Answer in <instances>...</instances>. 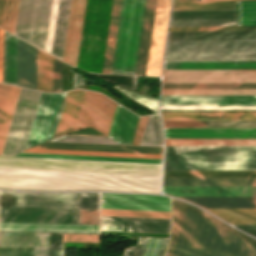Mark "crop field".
I'll return each instance as SVG.
<instances>
[{
    "label": "crop field",
    "instance_id": "1",
    "mask_svg": "<svg viewBox=\"0 0 256 256\" xmlns=\"http://www.w3.org/2000/svg\"><path fill=\"white\" fill-rule=\"evenodd\" d=\"M162 165L0 157V188L160 193Z\"/></svg>",
    "mask_w": 256,
    "mask_h": 256
},
{
    "label": "crop field",
    "instance_id": "2",
    "mask_svg": "<svg viewBox=\"0 0 256 256\" xmlns=\"http://www.w3.org/2000/svg\"><path fill=\"white\" fill-rule=\"evenodd\" d=\"M172 234L166 256H256V240L206 212L171 199Z\"/></svg>",
    "mask_w": 256,
    "mask_h": 256
},
{
    "label": "crop field",
    "instance_id": "3",
    "mask_svg": "<svg viewBox=\"0 0 256 256\" xmlns=\"http://www.w3.org/2000/svg\"><path fill=\"white\" fill-rule=\"evenodd\" d=\"M164 170H256V146H165Z\"/></svg>",
    "mask_w": 256,
    "mask_h": 256
},
{
    "label": "crop field",
    "instance_id": "4",
    "mask_svg": "<svg viewBox=\"0 0 256 256\" xmlns=\"http://www.w3.org/2000/svg\"><path fill=\"white\" fill-rule=\"evenodd\" d=\"M112 0H87L77 67L101 73Z\"/></svg>",
    "mask_w": 256,
    "mask_h": 256
},
{
    "label": "crop field",
    "instance_id": "5",
    "mask_svg": "<svg viewBox=\"0 0 256 256\" xmlns=\"http://www.w3.org/2000/svg\"><path fill=\"white\" fill-rule=\"evenodd\" d=\"M256 59V40L167 41L165 60Z\"/></svg>",
    "mask_w": 256,
    "mask_h": 256
},
{
    "label": "crop field",
    "instance_id": "6",
    "mask_svg": "<svg viewBox=\"0 0 256 256\" xmlns=\"http://www.w3.org/2000/svg\"><path fill=\"white\" fill-rule=\"evenodd\" d=\"M145 0H122L111 73L134 75Z\"/></svg>",
    "mask_w": 256,
    "mask_h": 256
},
{
    "label": "crop field",
    "instance_id": "7",
    "mask_svg": "<svg viewBox=\"0 0 256 256\" xmlns=\"http://www.w3.org/2000/svg\"><path fill=\"white\" fill-rule=\"evenodd\" d=\"M0 206L99 209V193L0 191Z\"/></svg>",
    "mask_w": 256,
    "mask_h": 256
},
{
    "label": "crop field",
    "instance_id": "8",
    "mask_svg": "<svg viewBox=\"0 0 256 256\" xmlns=\"http://www.w3.org/2000/svg\"><path fill=\"white\" fill-rule=\"evenodd\" d=\"M52 0H20L15 35L44 50Z\"/></svg>",
    "mask_w": 256,
    "mask_h": 256
},
{
    "label": "crop field",
    "instance_id": "9",
    "mask_svg": "<svg viewBox=\"0 0 256 256\" xmlns=\"http://www.w3.org/2000/svg\"><path fill=\"white\" fill-rule=\"evenodd\" d=\"M40 93L21 89L2 155H13L25 149Z\"/></svg>",
    "mask_w": 256,
    "mask_h": 256
},
{
    "label": "crop field",
    "instance_id": "10",
    "mask_svg": "<svg viewBox=\"0 0 256 256\" xmlns=\"http://www.w3.org/2000/svg\"><path fill=\"white\" fill-rule=\"evenodd\" d=\"M66 93H41L26 149L54 137Z\"/></svg>",
    "mask_w": 256,
    "mask_h": 256
},
{
    "label": "crop field",
    "instance_id": "11",
    "mask_svg": "<svg viewBox=\"0 0 256 256\" xmlns=\"http://www.w3.org/2000/svg\"><path fill=\"white\" fill-rule=\"evenodd\" d=\"M116 105L99 93L86 91L75 129L93 126L108 135Z\"/></svg>",
    "mask_w": 256,
    "mask_h": 256
},
{
    "label": "crop field",
    "instance_id": "12",
    "mask_svg": "<svg viewBox=\"0 0 256 256\" xmlns=\"http://www.w3.org/2000/svg\"><path fill=\"white\" fill-rule=\"evenodd\" d=\"M79 209L0 207V222L78 224Z\"/></svg>",
    "mask_w": 256,
    "mask_h": 256
},
{
    "label": "crop field",
    "instance_id": "13",
    "mask_svg": "<svg viewBox=\"0 0 256 256\" xmlns=\"http://www.w3.org/2000/svg\"><path fill=\"white\" fill-rule=\"evenodd\" d=\"M171 0H156L145 75L160 76Z\"/></svg>",
    "mask_w": 256,
    "mask_h": 256
},
{
    "label": "crop field",
    "instance_id": "14",
    "mask_svg": "<svg viewBox=\"0 0 256 256\" xmlns=\"http://www.w3.org/2000/svg\"><path fill=\"white\" fill-rule=\"evenodd\" d=\"M162 82H256V70H164Z\"/></svg>",
    "mask_w": 256,
    "mask_h": 256
},
{
    "label": "crop field",
    "instance_id": "15",
    "mask_svg": "<svg viewBox=\"0 0 256 256\" xmlns=\"http://www.w3.org/2000/svg\"><path fill=\"white\" fill-rule=\"evenodd\" d=\"M101 208L170 211L169 198L101 193Z\"/></svg>",
    "mask_w": 256,
    "mask_h": 256
},
{
    "label": "crop field",
    "instance_id": "16",
    "mask_svg": "<svg viewBox=\"0 0 256 256\" xmlns=\"http://www.w3.org/2000/svg\"><path fill=\"white\" fill-rule=\"evenodd\" d=\"M165 138H256V128H164Z\"/></svg>",
    "mask_w": 256,
    "mask_h": 256
},
{
    "label": "crop field",
    "instance_id": "17",
    "mask_svg": "<svg viewBox=\"0 0 256 256\" xmlns=\"http://www.w3.org/2000/svg\"><path fill=\"white\" fill-rule=\"evenodd\" d=\"M86 0H72L63 60L76 66Z\"/></svg>",
    "mask_w": 256,
    "mask_h": 256
},
{
    "label": "crop field",
    "instance_id": "18",
    "mask_svg": "<svg viewBox=\"0 0 256 256\" xmlns=\"http://www.w3.org/2000/svg\"><path fill=\"white\" fill-rule=\"evenodd\" d=\"M160 105H256V96H161Z\"/></svg>",
    "mask_w": 256,
    "mask_h": 256
},
{
    "label": "crop field",
    "instance_id": "19",
    "mask_svg": "<svg viewBox=\"0 0 256 256\" xmlns=\"http://www.w3.org/2000/svg\"><path fill=\"white\" fill-rule=\"evenodd\" d=\"M37 48L18 39L17 85L36 89Z\"/></svg>",
    "mask_w": 256,
    "mask_h": 256
},
{
    "label": "crop field",
    "instance_id": "20",
    "mask_svg": "<svg viewBox=\"0 0 256 256\" xmlns=\"http://www.w3.org/2000/svg\"><path fill=\"white\" fill-rule=\"evenodd\" d=\"M175 196H256V187H163Z\"/></svg>",
    "mask_w": 256,
    "mask_h": 256
},
{
    "label": "crop field",
    "instance_id": "21",
    "mask_svg": "<svg viewBox=\"0 0 256 256\" xmlns=\"http://www.w3.org/2000/svg\"><path fill=\"white\" fill-rule=\"evenodd\" d=\"M34 148L86 150V151H108V152H130V153H152V154H162V151H163V148H153V147L111 146V145L74 144V143H56V142H45V143L38 145Z\"/></svg>",
    "mask_w": 256,
    "mask_h": 256
},
{
    "label": "crop field",
    "instance_id": "22",
    "mask_svg": "<svg viewBox=\"0 0 256 256\" xmlns=\"http://www.w3.org/2000/svg\"><path fill=\"white\" fill-rule=\"evenodd\" d=\"M138 119V117L117 105L108 137L120 144L130 145Z\"/></svg>",
    "mask_w": 256,
    "mask_h": 256
},
{
    "label": "crop field",
    "instance_id": "23",
    "mask_svg": "<svg viewBox=\"0 0 256 256\" xmlns=\"http://www.w3.org/2000/svg\"><path fill=\"white\" fill-rule=\"evenodd\" d=\"M34 234L0 233V256H33Z\"/></svg>",
    "mask_w": 256,
    "mask_h": 256
},
{
    "label": "crop field",
    "instance_id": "24",
    "mask_svg": "<svg viewBox=\"0 0 256 256\" xmlns=\"http://www.w3.org/2000/svg\"><path fill=\"white\" fill-rule=\"evenodd\" d=\"M163 120H256V112H161Z\"/></svg>",
    "mask_w": 256,
    "mask_h": 256
},
{
    "label": "crop field",
    "instance_id": "25",
    "mask_svg": "<svg viewBox=\"0 0 256 256\" xmlns=\"http://www.w3.org/2000/svg\"><path fill=\"white\" fill-rule=\"evenodd\" d=\"M163 186H256V178H163Z\"/></svg>",
    "mask_w": 256,
    "mask_h": 256
},
{
    "label": "crop field",
    "instance_id": "26",
    "mask_svg": "<svg viewBox=\"0 0 256 256\" xmlns=\"http://www.w3.org/2000/svg\"><path fill=\"white\" fill-rule=\"evenodd\" d=\"M84 92L73 90L67 93L55 137L74 129Z\"/></svg>",
    "mask_w": 256,
    "mask_h": 256
},
{
    "label": "crop field",
    "instance_id": "27",
    "mask_svg": "<svg viewBox=\"0 0 256 256\" xmlns=\"http://www.w3.org/2000/svg\"><path fill=\"white\" fill-rule=\"evenodd\" d=\"M256 39V31L169 32L167 40Z\"/></svg>",
    "mask_w": 256,
    "mask_h": 256
},
{
    "label": "crop field",
    "instance_id": "28",
    "mask_svg": "<svg viewBox=\"0 0 256 256\" xmlns=\"http://www.w3.org/2000/svg\"><path fill=\"white\" fill-rule=\"evenodd\" d=\"M204 208H256V197H181Z\"/></svg>",
    "mask_w": 256,
    "mask_h": 256
},
{
    "label": "crop field",
    "instance_id": "29",
    "mask_svg": "<svg viewBox=\"0 0 256 256\" xmlns=\"http://www.w3.org/2000/svg\"><path fill=\"white\" fill-rule=\"evenodd\" d=\"M155 0H146L135 75H144Z\"/></svg>",
    "mask_w": 256,
    "mask_h": 256
},
{
    "label": "crop field",
    "instance_id": "30",
    "mask_svg": "<svg viewBox=\"0 0 256 256\" xmlns=\"http://www.w3.org/2000/svg\"><path fill=\"white\" fill-rule=\"evenodd\" d=\"M71 0H59L51 54L62 59Z\"/></svg>",
    "mask_w": 256,
    "mask_h": 256
},
{
    "label": "crop field",
    "instance_id": "31",
    "mask_svg": "<svg viewBox=\"0 0 256 256\" xmlns=\"http://www.w3.org/2000/svg\"><path fill=\"white\" fill-rule=\"evenodd\" d=\"M164 69H256V62H164Z\"/></svg>",
    "mask_w": 256,
    "mask_h": 256
},
{
    "label": "crop field",
    "instance_id": "32",
    "mask_svg": "<svg viewBox=\"0 0 256 256\" xmlns=\"http://www.w3.org/2000/svg\"><path fill=\"white\" fill-rule=\"evenodd\" d=\"M100 230L169 233L170 224L100 221Z\"/></svg>",
    "mask_w": 256,
    "mask_h": 256
},
{
    "label": "crop field",
    "instance_id": "33",
    "mask_svg": "<svg viewBox=\"0 0 256 256\" xmlns=\"http://www.w3.org/2000/svg\"><path fill=\"white\" fill-rule=\"evenodd\" d=\"M17 37L5 32L3 82L16 85Z\"/></svg>",
    "mask_w": 256,
    "mask_h": 256
},
{
    "label": "crop field",
    "instance_id": "34",
    "mask_svg": "<svg viewBox=\"0 0 256 256\" xmlns=\"http://www.w3.org/2000/svg\"><path fill=\"white\" fill-rule=\"evenodd\" d=\"M235 1L256 0H173L172 10L235 9Z\"/></svg>",
    "mask_w": 256,
    "mask_h": 256
},
{
    "label": "crop field",
    "instance_id": "35",
    "mask_svg": "<svg viewBox=\"0 0 256 256\" xmlns=\"http://www.w3.org/2000/svg\"><path fill=\"white\" fill-rule=\"evenodd\" d=\"M120 6H121V0H113L102 73H110V70H111L115 38H116L118 19H119V13H120Z\"/></svg>",
    "mask_w": 256,
    "mask_h": 256
},
{
    "label": "crop field",
    "instance_id": "36",
    "mask_svg": "<svg viewBox=\"0 0 256 256\" xmlns=\"http://www.w3.org/2000/svg\"><path fill=\"white\" fill-rule=\"evenodd\" d=\"M236 19L235 10L172 11L171 20Z\"/></svg>",
    "mask_w": 256,
    "mask_h": 256
},
{
    "label": "crop field",
    "instance_id": "37",
    "mask_svg": "<svg viewBox=\"0 0 256 256\" xmlns=\"http://www.w3.org/2000/svg\"><path fill=\"white\" fill-rule=\"evenodd\" d=\"M20 89L21 88L19 87H10V91L0 121V155L2 154V150L5 144V140L10 127V123L15 110Z\"/></svg>",
    "mask_w": 256,
    "mask_h": 256
},
{
    "label": "crop field",
    "instance_id": "38",
    "mask_svg": "<svg viewBox=\"0 0 256 256\" xmlns=\"http://www.w3.org/2000/svg\"><path fill=\"white\" fill-rule=\"evenodd\" d=\"M53 57L38 50L37 89L52 92Z\"/></svg>",
    "mask_w": 256,
    "mask_h": 256
},
{
    "label": "crop field",
    "instance_id": "39",
    "mask_svg": "<svg viewBox=\"0 0 256 256\" xmlns=\"http://www.w3.org/2000/svg\"><path fill=\"white\" fill-rule=\"evenodd\" d=\"M161 95H256V89H162Z\"/></svg>",
    "mask_w": 256,
    "mask_h": 256
},
{
    "label": "crop field",
    "instance_id": "40",
    "mask_svg": "<svg viewBox=\"0 0 256 256\" xmlns=\"http://www.w3.org/2000/svg\"><path fill=\"white\" fill-rule=\"evenodd\" d=\"M231 224H256V209H207Z\"/></svg>",
    "mask_w": 256,
    "mask_h": 256
},
{
    "label": "crop field",
    "instance_id": "41",
    "mask_svg": "<svg viewBox=\"0 0 256 256\" xmlns=\"http://www.w3.org/2000/svg\"><path fill=\"white\" fill-rule=\"evenodd\" d=\"M163 177H256V171H164Z\"/></svg>",
    "mask_w": 256,
    "mask_h": 256
},
{
    "label": "crop field",
    "instance_id": "42",
    "mask_svg": "<svg viewBox=\"0 0 256 256\" xmlns=\"http://www.w3.org/2000/svg\"><path fill=\"white\" fill-rule=\"evenodd\" d=\"M164 127H256V121H163Z\"/></svg>",
    "mask_w": 256,
    "mask_h": 256
},
{
    "label": "crop field",
    "instance_id": "43",
    "mask_svg": "<svg viewBox=\"0 0 256 256\" xmlns=\"http://www.w3.org/2000/svg\"><path fill=\"white\" fill-rule=\"evenodd\" d=\"M165 145H256V139H165Z\"/></svg>",
    "mask_w": 256,
    "mask_h": 256
},
{
    "label": "crop field",
    "instance_id": "44",
    "mask_svg": "<svg viewBox=\"0 0 256 256\" xmlns=\"http://www.w3.org/2000/svg\"><path fill=\"white\" fill-rule=\"evenodd\" d=\"M16 156L162 164V160L19 153Z\"/></svg>",
    "mask_w": 256,
    "mask_h": 256
},
{
    "label": "crop field",
    "instance_id": "45",
    "mask_svg": "<svg viewBox=\"0 0 256 256\" xmlns=\"http://www.w3.org/2000/svg\"><path fill=\"white\" fill-rule=\"evenodd\" d=\"M140 145L163 146V132L159 114L148 117Z\"/></svg>",
    "mask_w": 256,
    "mask_h": 256
},
{
    "label": "crop field",
    "instance_id": "46",
    "mask_svg": "<svg viewBox=\"0 0 256 256\" xmlns=\"http://www.w3.org/2000/svg\"><path fill=\"white\" fill-rule=\"evenodd\" d=\"M0 228L98 231V225L0 223Z\"/></svg>",
    "mask_w": 256,
    "mask_h": 256
},
{
    "label": "crop field",
    "instance_id": "47",
    "mask_svg": "<svg viewBox=\"0 0 256 256\" xmlns=\"http://www.w3.org/2000/svg\"><path fill=\"white\" fill-rule=\"evenodd\" d=\"M24 152L162 159V155L29 149Z\"/></svg>",
    "mask_w": 256,
    "mask_h": 256
},
{
    "label": "crop field",
    "instance_id": "48",
    "mask_svg": "<svg viewBox=\"0 0 256 256\" xmlns=\"http://www.w3.org/2000/svg\"><path fill=\"white\" fill-rule=\"evenodd\" d=\"M162 88H256V83H162Z\"/></svg>",
    "mask_w": 256,
    "mask_h": 256
},
{
    "label": "crop field",
    "instance_id": "49",
    "mask_svg": "<svg viewBox=\"0 0 256 256\" xmlns=\"http://www.w3.org/2000/svg\"><path fill=\"white\" fill-rule=\"evenodd\" d=\"M237 25H256V2H236Z\"/></svg>",
    "mask_w": 256,
    "mask_h": 256
},
{
    "label": "crop field",
    "instance_id": "50",
    "mask_svg": "<svg viewBox=\"0 0 256 256\" xmlns=\"http://www.w3.org/2000/svg\"><path fill=\"white\" fill-rule=\"evenodd\" d=\"M18 5L19 0H5L1 27L12 33L15 31Z\"/></svg>",
    "mask_w": 256,
    "mask_h": 256
},
{
    "label": "crop field",
    "instance_id": "51",
    "mask_svg": "<svg viewBox=\"0 0 256 256\" xmlns=\"http://www.w3.org/2000/svg\"><path fill=\"white\" fill-rule=\"evenodd\" d=\"M100 215L170 218V212L101 209Z\"/></svg>",
    "mask_w": 256,
    "mask_h": 256
},
{
    "label": "crop field",
    "instance_id": "52",
    "mask_svg": "<svg viewBox=\"0 0 256 256\" xmlns=\"http://www.w3.org/2000/svg\"><path fill=\"white\" fill-rule=\"evenodd\" d=\"M161 110H256V106H160Z\"/></svg>",
    "mask_w": 256,
    "mask_h": 256
},
{
    "label": "crop field",
    "instance_id": "53",
    "mask_svg": "<svg viewBox=\"0 0 256 256\" xmlns=\"http://www.w3.org/2000/svg\"><path fill=\"white\" fill-rule=\"evenodd\" d=\"M50 141L118 145L107 137L60 136Z\"/></svg>",
    "mask_w": 256,
    "mask_h": 256
},
{
    "label": "crop field",
    "instance_id": "54",
    "mask_svg": "<svg viewBox=\"0 0 256 256\" xmlns=\"http://www.w3.org/2000/svg\"><path fill=\"white\" fill-rule=\"evenodd\" d=\"M236 25V20L171 21L170 27Z\"/></svg>",
    "mask_w": 256,
    "mask_h": 256
},
{
    "label": "crop field",
    "instance_id": "55",
    "mask_svg": "<svg viewBox=\"0 0 256 256\" xmlns=\"http://www.w3.org/2000/svg\"><path fill=\"white\" fill-rule=\"evenodd\" d=\"M199 30H256V26L170 28L169 31H199Z\"/></svg>",
    "mask_w": 256,
    "mask_h": 256
},
{
    "label": "crop field",
    "instance_id": "56",
    "mask_svg": "<svg viewBox=\"0 0 256 256\" xmlns=\"http://www.w3.org/2000/svg\"><path fill=\"white\" fill-rule=\"evenodd\" d=\"M34 256H48V234H35Z\"/></svg>",
    "mask_w": 256,
    "mask_h": 256
},
{
    "label": "crop field",
    "instance_id": "57",
    "mask_svg": "<svg viewBox=\"0 0 256 256\" xmlns=\"http://www.w3.org/2000/svg\"><path fill=\"white\" fill-rule=\"evenodd\" d=\"M49 256H62V234H49Z\"/></svg>",
    "mask_w": 256,
    "mask_h": 256
},
{
    "label": "crop field",
    "instance_id": "58",
    "mask_svg": "<svg viewBox=\"0 0 256 256\" xmlns=\"http://www.w3.org/2000/svg\"><path fill=\"white\" fill-rule=\"evenodd\" d=\"M148 239L140 237L137 246L126 248L123 256H143Z\"/></svg>",
    "mask_w": 256,
    "mask_h": 256
},
{
    "label": "crop field",
    "instance_id": "59",
    "mask_svg": "<svg viewBox=\"0 0 256 256\" xmlns=\"http://www.w3.org/2000/svg\"><path fill=\"white\" fill-rule=\"evenodd\" d=\"M62 61L54 58L53 92H61Z\"/></svg>",
    "mask_w": 256,
    "mask_h": 256
},
{
    "label": "crop field",
    "instance_id": "60",
    "mask_svg": "<svg viewBox=\"0 0 256 256\" xmlns=\"http://www.w3.org/2000/svg\"><path fill=\"white\" fill-rule=\"evenodd\" d=\"M100 220L135 221V222H159V223H170V221H171V220H163V219H145V218L109 217V216H100Z\"/></svg>",
    "mask_w": 256,
    "mask_h": 256
},
{
    "label": "crop field",
    "instance_id": "61",
    "mask_svg": "<svg viewBox=\"0 0 256 256\" xmlns=\"http://www.w3.org/2000/svg\"><path fill=\"white\" fill-rule=\"evenodd\" d=\"M63 241L98 242V235L63 234Z\"/></svg>",
    "mask_w": 256,
    "mask_h": 256
},
{
    "label": "crop field",
    "instance_id": "62",
    "mask_svg": "<svg viewBox=\"0 0 256 256\" xmlns=\"http://www.w3.org/2000/svg\"><path fill=\"white\" fill-rule=\"evenodd\" d=\"M147 117L148 116H145V117H141L139 119V122H138V125H137V128H136V132H135V135H134V138H133V141H132L131 145H139L140 144V140H141V137H142V134H143V130H144V127H145V124H146Z\"/></svg>",
    "mask_w": 256,
    "mask_h": 256
},
{
    "label": "crop field",
    "instance_id": "63",
    "mask_svg": "<svg viewBox=\"0 0 256 256\" xmlns=\"http://www.w3.org/2000/svg\"><path fill=\"white\" fill-rule=\"evenodd\" d=\"M162 239L150 238L144 256H156Z\"/></svg>",
    "mask_w": 256,
    "mask_h": 256
},
{
    "label": "crop field",
    "instance_id": "64",
    "mask_svg": "<svg viewBox=\"0 0 256 256\" xmlns=\"http://www.w3.org/2000/svg\"><path fill=\"white\" fill-rule=\"evenodd\" d=\"M9 87L10 86L8 85L0 84V117L8 94Z\"/></svg>",
    "mask_w": 256,
    "mask_h": 256
},
{
    "label": "crop field",
    "instance_id": "65",
    "mask_svg": "<svg viewBox=\"0 0 256 256\" xmlns=\"http://www.w3.org/2000/svg\"><path fill=\"white\" fill-rule=\"evenodd\" d=\"M3 43H4V30L0 29V82H2Z\"/></svg>",
    "mask_w": 256,
    "mask_h": 256
},
{
    "label": "crop field",
    "instance_id": "66",
    "mask_svg": "<svg viewBox=\"0 0 256 256\" xmlns=\"http://www.w3.org/2000/svg\"><path fill=\"white\" fill-rule=\"evenodd\" d=\"M236 227L256 236V225H237Z\"/></svg>",
    "mask_w": 256,
    "mask_h": 256
},
{
    "label": "crop field",
    "instance_id": "67",
    "mask_svg": "<svg viewBox=\"0 0 256 256\" xmlns=\"http://www.w3.org/2000/svg\"><path fill=\"white\" fill-rule=\"evenodd\" d=\"M167 242H168V239H163L162 240V243H161V246H160V249L158 251L157 256H163L166 245H167Z\"/></svg>",
    "mask_w": 256,
    "mask_h": 256
},
{
    "label": "crop field",
    "instance_id": "68",
    "mask_svg": "<svg viewBox=\"0 0 256 256\" xmlns=\"http://www.w3.org/2000/svg\"><path fill=\"white\" fill-rule=\"evenodd\" d=\"M0 230H15V229H0ZM15 231H48V230H15ZM49 232H82V231H49ZM82 233H98V232H82Z\"/></svg>",
    "mask_w": 256,
    "mask_h": 256
},
{
    "label": "crop field",
    "instance_id": "69",
    "mask_svg": "<svg viewBox=\"0 0 256 256\" xmlns=\"http://www.w3.org/2000/svg\"><path fill=\"white\" fill-rule=\"evenodd\" d=\"M3 4H4V0H0V24H1V17H2V11H3Z\"/></svg>",
    "mask_w": 256,
    "mask_h": 256
}]
</instances>
